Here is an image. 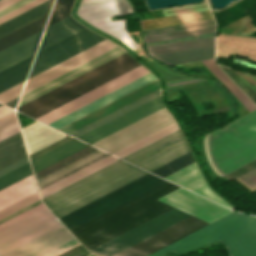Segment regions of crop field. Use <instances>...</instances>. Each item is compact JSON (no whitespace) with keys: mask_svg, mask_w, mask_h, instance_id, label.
<instances>
[{"mask_svg":"<svg viewBox=\"0 0 256 256\" xmlns=\"http://www.w3.org/2000/svg\"><path fill=\"white\" fill-rule=\"evenodd\" d=\"M166 182L143 195L71 230L89 251L172 209L156 199L177 189Z\"/></svg>","mask_w":256,"mask_h":256,"instance_id":"1","label":"crop field"},{"mask_svg":"<svg viewBox=\"0 0 256 256\" xmlns=\"http://www.w3.org/2000/svg\"><path fill=\"white\" fill-rule=\"evenodd\" d=\"M222 242L229 256H256V217L233 212L150 256H165L167 252L182 253L215 242ZM211 244L176 255L187 256L221 244Z\"/></svg>","mask_w":256,"mask_h":256,"instance_id":"2","label":"crop field"},{"mask_svg":"<svg viewBox=\"0 0 256 256\" xmlns=\"http://www.w3.org/2000/svg\"><path fill=\"white\" fill-rule=\"evenodd\" d=\"M72 239L45 207L0 230V256H40Z\"/></svg>","mask_w":256,"mask_h":256,"instance_id":"3","label":"crop field"},{"mask_svg":"<svg viewBox=\"0 0 256 256\" xmlns=\"http://www.w3.org/2000/svg\"><path fill=\"white\" fill-rule=\"evenodd\" d=\"M146 173L119 160L47 196L42 201L59 218Z\"/></svg>","mask_w":256,"mask_h":256,"instance_id":"4","label":"crop field"},{"mask_svg":"<svg viewBox=\"0 0 256 256\" xmlns=\"http://www.w3.org/2000/svg\"><path fill=\"white\" fill-rule=\"evenodd\" d=\"M212 161L223 175L256 158V111L210 134Z\"/></svg>","mask_w":256,"mask_h":256,"instance_id":"5","label":"crop field"},{"mask_svg":"<svg viewBox=\"0 0 256 256\" xmlns=\"http://www.w3.org/2000/svg\"><path fill=\"white\" fill-rule=\"evenodd\" d=\"M138 65L125 53L18 107V111L35 118Z\"/></svg>","mask_w":256,"mask_h":256,"instance_id":"6","label":"crop field"},{"mask_svg":"<svg viewBox=\"0 0 256 256\" xmlns=\"http://www.w3.org/2000/svg\"><path fill=\"white\" fill-rule=\"evenodd\" d=\"M164 182L148 173L59 219L70 230Z\"/></svg>","mask_w":256,"mask_h":256,"instance_id":"7","label":"crop field"},{"mask_svg":"<svg viewBox=\"0 0 256 256\" xmlns=\"http://www.w3.org/2000/svg\"><path fill=\"white\" fill-rule=\"evenodd\" d=\"M129 13L130 5L126 0H99L82 3L78 15L88 23L117 37L134 50L140 46L127 34L124 20L111 22L109 18Z\"/></svg>","mask_w":256,"mask_h":256,"instance_id":"8","label":"crop field"},{"mask_svg":"<svg viewBox=\"0 0 256 256\" xmlns=\"http://www.w3.org/2000/svg\"><path fill=\"white\" fill-rule=\"evenodd\" d=\"M106 38L84 29L38 52L29 78Z\"/></svg>","mask_w":256,"mask_h":256,"instance_id":"9","label":"crop field"},{"mask_svg":"<svg viewBox=\"0 0 256 256\" xmlns=\"http://www.w3.org/2000/svg\"><path fill=\"white\" fill-rule=\"evenodd\" d=\"M191 215L176 208L91 250L93 254L111 256Z\"/></svg>","mask_w":256,"mask_h":256,"instance_id":"10","label":"crop field"},{"mask_svg":"<svg viewBox=\"0 0 256 256\" xmlns=\"http://www.w3.org/2000/svg\"><path fill=\"white\" fill-rule=\"evenodd\" d=\"M189 151L179 130L123 159L151 171Z\"/></svg>","mask_w":256,"mask_h":256,"instance_id":"11","label":"crop field"},{"mask_svg":"<svg viewBox=\"0 0 256 256\" xmlns=\"http://www.w3.org/2000/svg\"><path fill=\"white\" fill-rule=\"evenodd\" d=\"M172 122L173 119L163 108L92 145L112 153Z\"/></svg>","mask_w":256,"mask_h":256,"instance_id":"12","label":"crop field"},{"mask_svg":"<svg viewBox=\"0 0 256 256\" xmlns=\"http://www.w3.org/2000/svg\"><path fill=\"white\" fill-rule=\"evenodd\" d=\"M150 73L142 65L37 117L36 119L48 124L146 74Z\"/></svg>","mask_w":256,"mask_h":256,"instance_id":"13","label":"crop field"},{"mask_svg":"<svg viewBox=\"0 0 256 256\" xmlns=\"http://www.w3.org/2000/svg\"><path fill=\"white\" fill-rule=\"evenodd\" d=\"M53 0H49L0 25V37L49 13ZM48 14L1 37L0 51L43 29Z\"/></svg>","mask_w":256,"mask_h":256,"instance_id":"14","label":"crop field"},{"mask_svg":"<svg viewBox=\"0 0 256 256\" xmlns=\"http://www.w3.org/2000/svg\"><path fill=\"white\" fill-rule=\"evenodd\" d=\"M208 223L193 216L190 218L114 255V256H148L153 252L192 233Z\"/></svg>","mask_w":256,"mask_h":256,"instance_id":"15","label":"crop field"},{"mask_svg":"<svg viewBox=\"0 0 256 256\" xmlns=\"http://www.w3.org/2000/svg\"><path fill=\"white\" fill-rule=\"evenodd\" d=\"M107 155L108 154L104 152L88 146L35 173L39 189H42Z\"/></svg>","mask_w":256,"mask_h":256,"instance_id":"16","label":"crop field"},{"mask_svg":"<svg viewBox=\"0 0 256 256\" xmlns=\"http://www.w3.org/2000/svg\"><path fill=\"white\" fill-rule=\"evenodd\" d=\"M158 200L183 210L208 223L232 212L181 188L159 198Z\"/></svg>","mask_w":256,"mask_h":256,"instance_id":"17","label":"crop field"},{"mask_svg":"<svg viewBox=\"0 0 256 256\" xmlns=\"http://www.w3.org/2000/svg\"><path fill=\"white\" fill-rule=\"evenodd\" d=\"M107 40L28 79L24 93L117 47L113 43L109 42L110 40Z\"/></svg>","mask_w":256,"mask_h":256,"instance_id":"18","label":"crop field"},{"mask_svg":"<svg viewBox=\"0 0 256 256\" xmlns=\"http://www.w3.org/2000/svg\"><path fill=\"white\" fill-rule=\"evenodd\" d=\"M159 89L157 79L124 95L123 97L91 112L90 114L60 128L59 130L64 131L68 134L114 112L115 110Z\"/></svg>","mask_w":256,"mask_h":256,"instance_id":"19","label":"crop field"},{"mask_svg":"<svg viewBox=\"0 0 256 256\" xmlns=\"http://www.w3.org/2000/svg\"><path fill=\"white\" fill-rule=\"evenodd\" d=\"M161 108H163L161 98L158 97L78 138L91 144Z\"/></svg>","mask_w":256,"mask_h":256,"instance_id":"20","label":"crop field"},{"mask_svg":"<svg viewBox=\"0 0 256 256\" xmlns=\"http://www.w3.org/2000/svg\"><path fill=\"white\" fill-rule=\"evenodd\" d=\"M164 178L175 182L193 192L199 193L217 203L234 209L207 187L195 162Z\"/></svg>","mask_w":256,"mask_h":256,"instance_id":"21","label":"crop field"},{"mask_svg":"<svg viewBox=\"0 0 256 256\" xmlns=\"http://www.w3.org/2000/svg\"><path fill=\"white\" fill-rule=\"evenodd\" d=\"M154 79H156V77L153 76L150 73V74H148V75H146V76H144V77H142V78H140V79H138V80H136V81H134V82H132V83H130V84H128V85H126V86H124V87H122V88H120V89H118V90H116V91H114V92L96 100V101H94V102H92V103H90V104H88V105H86V106H84V107H82V108H80V109H78V110H76V111H74V112H72V113L54 121V122H52V123H50L49 125L58 129L59 127H61L65 124H67V123H69V122H71V121H73V120H75V119H77V118H79V117H81V116H83V115H85V114H87V113H89V112L107 104L108 102H110V101H112V100H114V99H116V98H118V97H120V96H122V95H124V94H126V93H128V92H130V91H132V90H134V89L152 81V80H154Z\"/></svg>","mask_w":256,"mask_h":256,"instance_id":"22","label":"crop field"},{"mask_svg":"<svg viewBox=\"0 0 256 256\" xmlns=\"http://www.w3.org/2000/svg\"><path fill=\"white\" fill-rule=\"evenodd\" d=\"M42 31L1 51L0 71L36 52Z\"/></svg>","mask_w":256,"mask_h":256,"instance_id":"23","label":"crop field"},{"mask_svg":"<svg viewBox=\"0 0 256 256\" xmlns=\"http://www.w3.org/2000/svg\"><path fill=\"white\" fill-rule=\"evenodd\" d=\"M120 49L121 48L118 47V48H116V49H114V50H112V51H110V52H108V53H106V54H104V55H102V56H100V57H98V58H96V59L78 67V68H76V69H74V70H72L71 72H69V73H67V74H65V75H63V76H61V77H59V78H57V79H55V80H53L49 83L37 88V89L25 94V95H23L21 97V99L30 95V94H32V93H34V92H36V91H38V90H40V89H42V88H44V87H46V86H48V85H50V84H52V83H54V82H56V81H58V80H60V79H62V78H64V77H66V76H68V75H70V74H72V73H74V72H76V71H78V70H80V69H82V68H84V67H86V66H88V65H90V64H92V63H94V62H96V61H98V60H100V59H102V58H104V57H106V56H108V55H110V54H112V53H114V52H116V51H118V50H120ZM123 53H125V51L121 50V51H119V52H117V53H115V54H113V55H111V56H109V57H107V58H105V59H103V60H101V61H99V62H97V63L79 71V72H77V73H75V74H73L72 76H70V77H68V78H66V79H64V80H62V81H60V82H58V83H56L52 86L40 91V92L22 100V101L20 100L19 106L28 102V101H30V100H32V99H34V98H36V97H38V96H40V95H42V94H44V93H46V92H48V91H50V90H52V89H54V88H56V87H58V86H60V85H62V84H64V83H66V82H68V81H70L71 79H73V78H75V77H77V76H79V75H81L85 72H87V71H89V70H91V69H93V68H95V67H97V66H99V65H101V64H103V63H105V62H107V61H109V60H111V59H113L117 56H119V55H121V54H123Z\"/></svg>","mask_w":256,"mask_h":256,"instance_id":"24","label":"crop field"},{"mask_svg":"<svg viewBox=\"0 0 256 256\" xmlns=\"http://www.w3.org/2000/svg\"><path fill=\"white\" fill-rule=\"evenodd\" d=\"M213 19L209 10L192 12L186 14L172 15L167 17H160L148 20L139 21L141 25V29H151L158 28L164 26H171L183 23H190L196 21H203Z\"/></svg>","mask_w":256,"mask_h":256,"instance_id":"25","label":"crop field"},{"mask_svg":"<svg viewBox=\"0 0 256 256\" xmlns=\"http://www.w3.org/2000/svg\"><path fill=\"white\" fill-rule=\"evenodd\" d=\"M84 28L86 27L75 21L71 16L48 27L44 34L39 51Z\"/></svg>","mask_w":256,"mask_h":256,"instance_id":"26","label":"crop field"},{"mask_svg":"<svg viewBox=\"0 0 256 256\" xmlns=\"http://www.w3.org/2000/svg\"><path fill=\"white\" fill-rule=\"evenodd\" d=\"M117 160L118 159L109 155V156H107V157H105V158H103V159H101V160H99V161H97V162H95V163H93V164L75 172L74 174H72V175H70V176H68V177H66V178H64V179H62V180L44 188L42 190H40L41 197L43 198V197H45V196H47V195H49V194H51V193H53V192H55L59 189H61L65 186H67V185H69V184H71V183H73V182H75V181H77V180H79V179H81V178H83V177H85V176H87V175H89V174H91V173H93V172H95V171H97V170H99V169L117 161Z\"/></svg>","mask_w":256,"mask_h":256,"instance_id":"27","label":"crop field"},{"mask_svg":"<svg viewBox=\"0 0 256 256\" xmlns=\"http://www.w3.org/2000/svg\"><path fill=\"white\" fill-rule=\"evenodd\" d=\"M35 192L37 190L33 176L0 191V210Z\"/></svg>","mask_w":256,"mask_h":256,"instance_id":"28","label":"crop field"},{"mask_svg":"<svg viewBox=\"0 0 256 256\" xmlns=\"http://www.w3.org/2000/svg\"><path fill=\"white\" fill-rule=\"evenodd\" d=\"M153 57L168 65L211 59L214 58V46L154 55Z\"/></svg>","mask_w":256,"mask_h":256,"instance_id":"29","label":"crop field"},{"mask_svg":"<svg viewBox=\"0 0 256 256\" xmlns=\"http://www.w3.org/2000/svg\"><path fill=\"white\" fill-rule=\"evenodd\" d=\"M87 145L77 141V140H72L56 149L53 151L31 161L33 172H36L84 147Z\"/></svg>","mask_w":256,"mask_h":256,"instance_id":"30","label":"crop field"},{"mask_svg":"<svg viewBox=\"0 0 256 256\" xmlns=\"http://www.w3.org/2000/svg\"><path fill=\"white\" fill-rule=\"evenodd\" d=\"M27 156L21 134L0 142V169Z\"/></svg>","mask_w":256,"mask_h":256,"instance_id":"31","label":"crop field"},{"mask_svg":"<svg viewBox=\"0 0 256 256\" xmlns=\"http://www.w3.org/2000/svg\"><path fill=\"white\" fill-rule=\"evenodd\" d=\"M33 55L0 72V92L25 80Z\"/></svg>","mask_w":256,"mask_h":256,"instance_id":"32","label":"crop field"},{"mask_svg":"<svg viewBox=\"0 0 256 256\" xmlns=\"http://www.w3.org/2000/svg\"><path fill=\"white\" fill-rule=\"evenodd\" d=\"M214 45V36L147 47L150 55Z\"/></svg>","mask_w":256,"mask_h":256,"instance_id":"33","label":"crop field"},{"mask_svg":"<svg viewBox=\"0 0 256 256\" xmlns=\"http://www.w3.org/2000/svg\"><path fill=\"white\" fill-rule=\"evenodd\" d=\"M203 62L209 71H211L217 79L228 88L238 100L246 107V109L251 112L256 109V106L238 89V87L219 69L216 65L215 60H205Z\"/></svg>","mask_w":256,"mask_h":256,"instance_id":"34","label":"crop field"},{"mask_svg":"<svg viewBox=\"0 0 256 256\" xmlns=\"http://www.w3.org/2000/svg\"><path fill=\"white\" fill-rule=\"evenodd\" d=\"M176 130H178V127L174 122V123L162 128V129H160V130H158V131H156V132H154V133H152V134H150V135H148V136H146V137H144V138H142V139L112 153V154L122 158V157H124V156H126V155H128V154H130V153H132V152H134V151H136V150H138V149H140V148H142V147H144V146H146V145H148V144H150V143H152V142H154V141H156V140H158Z\"/></svg>","mask_w":256,"mask_h":256,"instance_id":"35","label":"crop field"},{"mask_svg":"<svg viewBox=\"0 0 256 256\" xmlns=\"http://www.w3.org/2000/svg\"><path fill=\"white\" fill-rule=\"evenodd\" d=\"M159 95H160V92H159V90H157V91H155V92H153V93H151V94H149V95H147V96H145V97H143V98H141V99H139V100H137V101H135V102L119 109V110H117V111H115L114 113H112V114H110V115H108V116H106V117H104V118H102V119H100V120L82 128V129L72 133L71 135L77 137V136H79V135H81V134H83V133H85V132H87V131H89V130H91V129H93V128H95V127H97V126H99V125H101V124H103V123H105V122H107V121H109V120H111V119H113V118H115V117H117V116H119V115H121V114H123V113H125V112H127V111H129V110H131V109H133V108H135V107L153 99V98H155V97H157V96H159Z\"/></svg>","mask_w":256,"mask_h":256,"instance_id":"36","label":"crop field"},{"mask_svg":"<svg viewBox=\"0 0 256 256\" xmlns=\"http://www.w3.org/2000/svg\"><path fill=\"white\" fill-rule=\"evenodd\" d=\"M221 67V66H220ZM234 82L256 103V76L221 67Z\"/></svg>","mask_w":256,"mask_h":256,"instance_id":"37","label":"crop field"},{"mask_svg":"<svg viewBox=\"0 0 256 256\" xmlns=\"http://www.w3.org/2000/svg\"><path fill=\"white\" fill-rule=\"evenodd\" d=\"M20 132L15 113L0 107V141Z\"/></svg>","mask_w":256,"mask_h":256,"instance_id":"38","label":"crop field"},{"mask_svg":"<svg viewBox=\"0 0 256 256\" xmlns=\"http://www.w3.org/2000/svg\"><path fill=\"white\" fill-rule=\"evenodd\" d=\"M212 32H215V25L209 26V27L197 28V29H190V30H184V31H178V32L146 36L145 41L149 42V41L165 40V39L179 38V37L199 35V34L212 33Z\"/></svg>","mask_w":256,"mask_h":256,"instance_id":"39","label":"crop field"},{"mask_svg":"<svg viewBox=\"0 0 256 256\" xmlns=\"http://www.w3.org/2000/svg\"><path fill=\"white\" fill-rule=\"evenodd\" d=\"M74 0H56L48 26L69 16Z\"/></svg>","mask_w":256,"mask_h":256,"instance_id":"40","label":"crop field"},{"mask_svg":"<svg viewBox=\"0 0 256 256\" xmlns=\"http://www.w3.org/2000/svg\"><path fill=\"white\" fill-rule=\"evenodd\" d=\"M193 161L194 160L192 158L191 153H188V154H186V155H184V156H182V157H180V158H178V159H176V160H174V161H172V162H170L152 172L163 177V176H165V175H167V174H169V173H171V172H173V171H175Z\"/></svg>","mask_w":256,"mask_h":256,"instance_id":"41","label":"crop field"},{"mask_svg":"<svg viewBox=\"0 0 256 256\" xmlns=\"http://www.w3.org/2000/svg\"><path fill=\"white\" fill-rule=\"evenodd\" d=\"M30 164H27L0 178V190L31 175Z\"/></svg>","mask_w":256,"mask_h":256,"instance_id":"42","label":"crop field"},{"mask_svg":"<svg viewBox=\"0 0 256 256\" xmlns=\"http://www.w3.org/2000/svg\"><path fill=\"white\" fill-rule=\"evenodd\" d=\"M38 200H40L39 195H38V193H35V194H33V195H31V196L13 204V205L3 209L2 211H0V219L18 211V210H20L24 207H26V206H28V205H30V204L38 201Z\"/></svg>","mask_w":256,"mask_h":256,"instance_id":"43","label":"crop field"},{"mask_svg":"<svg viewBox=\"0 0 256 256\" xmlns=\"http://www.w3.org/2000/svg\"><path fill=\"white\" fill-rule=\"evenodd\" d=\"M215 24L214 20L142 31L143 35Z\"/></svg>","mask_w":256,"mask_h":256,"instance_id":"44","label":"crop field"},{"mask_svg":"<svg viewBox=\"0 0 256 256\" xmlns=\"http://www.w3.org/2000/svg\"><path fill=\"white\" fill-rule=\"evenodd\" d=\"M45 1H47V0H34V1L24 5L22 7H20L16 10L0 17V24L9 20V19H11V18H13V17H15V16H17V15H19V14H21V13H23V12H25V11H27V10H29V9H31V8H33V7H35V6H37V5H39V4H41V3H43V2H45Z\"/></svg>","mask_w":256,"mask_h":256,"instance_id":"45","label":"crop field"},{"mask_svg":"<svg viewBox=\"0 0 256 256\" xmlns=\"http://www.w3.org/2000/svg\"><path fill=\"white\" fill-rule=\"evenodd\" d=\"M72 139L73 138H71L69 136H66V137H64V138H62V139H60V140H58V141H56V142H54V143H52L50 145H48V146L38 150V151L30 154V156H29L30 160H33V159H35V158H37V157H39V156H41V155L51 151L52 149H54V148H56V147H58V146H60V145H62L64 143L72 140Z\"/></svg>","mask_w":256,"mask_h":256,"instance_id":"46","label":"crop field"},{"mask_svg":"<svg viewBox=\"0 0 256 256\" xmlns=\"http://www.w3.org/2000/svg\"><path fill=\"white\" fill-rule=\"evenodd\" d=\"M23 82L0 93V102L6 103L20 95Z\"/></svg>","mask_w":256,"mask_h":256,"instance_id":"47","label":"crop field"},{"mask_svg":"<svg viewBox=\"0 0 256 256\" xmlns=\"http://www.w3.org/2000/svg\"><path fill=\"white\" fill-rule=\"evenodd\" d=\"M255 167H256V159L251 161V162H249L248 164H246V165L236 169L235 171L225 175L224 177L227 180L231 181V180L237 178L238 176H240V175H242V174H244V173L254 169Z\"/></svg>","mask_w":256,"mask_h":256,"instance_id":"48","label":"crop field"},{"mask_svg":"<svg viewBox=\"0 0 256 256\" xmlns=\"http://www.w3.org/2000/svg\"><path fill=\"white\" fill-rule=\"evenodd\" d=\"M43 207H45V206H44V204L42 203V204H40V205H38V206H36V207H34V208H32V209L26 211V212H24V213H22V214H20V215H18V216H16V217H14L13 219H11V220H9V221H7V222L1 224V225H0V229L6 227V226H8V225H10L11 223H13V222H15V221H17V220H19V219H21V218H23V217H25V216L31 214V213H33V212H35V211H37V210L43 208Z\"/></svg>","mask_w":256,"mask_h":256,"instance_id":"49","label":"crop field"},{"mask_svg":"<svg viewBox=\"0 0 256 256\" xmlns=\"http://www.w3.org/2000/svg\"><path fill=\"white\" fill-rule=\"evenodd\" d=\"M78 244H80V243L75 239V240H73V241H71V242H69V243H67V244H65V245H63V246L45 254V255H43V256H56V255L66 251V250H68V249H70V248H72V247H74Z\"/></svg>","mask_w":256,"mask_h":256,"instance_id":"50","label":"crop field"},{"mask_svg":"<svg viewBox=\"0 0 256 256\" xmlns=\"http://www.w3.org/2000/svg\"><path fill=\"white\" fill-rule=\"evenodd\" d=\"M242 181L248 184L250 187H256V169L244 174L243 176L239 177ZM251 188V189H252Z\"/></svg>","mask_w":256,"mask_h":256,"instance_id":"51","label":"crop field"},{"mask_svg":"<svg viewBox=\"0 0 256 256\" xmlns=\"http://www.w3.org/2000/svg\"><path fill=\"white\" fill-rule=\"evenodd\" d=\"M28 162H29V161H28V157H25V158H23V159H21V160L15 162V163H13V164H11V165H9V166H7V167L1 169V170H0V176H2V175H4V174H6V173H8V172H10V171H12V170L18 168V167H20V166H22V165H24V164H26V163H28Z\"/></svg>","mask_w":256,"mask_h":256,"instance_id":"52","label":"crop field"},{"mask_svg":"<svg viewBox=\"0 0 256 256\" xmlns=\"http://www.w3.org/2000/svg\"><path fill=\"white\" fill-rule=\"evenodd\" d=\"M214 34H215V33H212V34H205V35H199V36H192V37H185V38H179V39H172V40H165V41L149 42V43H146V45H147V46H150V45H156V44H162V43H168V42H174V41H180V40H187V39H193V38L211 36V35H214Z\"/></svg>","mask_w":256,"mask_h":256,"instance_id":"53","label":"crop field"},{"mask_svg":"<svg viewBox=\"0 0 256 256\" xmlns=\"http://www.w3.org/2000/svg\"><path fill=\"white\" fill-rule=\"evenodd\" d=\"M30 1H32V0H21V1L17 2V3L5 8V9L1 10L0 11V16L4 15V14H6V13H8V12H10V11H12V10L28 3V2H30Z\"/></svg>","mask_w":256,"mask_h":256,"instance_id":"54","label":"crop field"},{"mask_svg":"<svg viewBox=\"0 0 256 256\" xmlns=\"http://www.w3.org/2000/svg\"><path fill=\"white\" fill-rule=\"evenodd\" d=\"M40 203H42V202H41V201H38V202H36V203H34V204H32V205H30V206L24 208V209H22V210H20V211H18V212H16V213H14V214H12V215H10V216H8V217H6V218L0 220V224L3 223V222H5V221H7V220H9V219H11L12 217H14V216H16V215H18V214H20V213H22V212H24V211L30 209V208H32V207H34V206L40 204Z\"/></svg>","mask_w":256,"mask_h":256,"instance_id":"55","label":"crop field"},{"mask_svg":"<svg viewBox=\"0 0 256 256\" xmlns=\"http://www.w3.org/2000/svg\"><path fill=\"white\" fill-rule=\"evenodd\" d=\"M192 79L201 80V79H198V78H189V79H183V80L170 81V82H167V84L176 83V82H181V81H186V80H192ZM201 81L206 82L205 80H201ZM192 82H199V81L192 80V81H186V82H181V83H176V84H170V85H168V86H171V85H178V84H185V83H192Z\"/></svg>","mask_w":256,"mask_h":256,"instance_id":"56","label":"crop field"},{"mask_svg":"<svg viewBox=\"0 0 256 256\" xmlns=\"http://www.w3.org/2000/svg\"><path fill=\"white\" fill-rule=\"evenodd\" d=\"M16 1H18V0H0V9H2Z\"/></svg>","mask_w":256,"mask_h":256,"instance_id":"57","label":"crop field"},{"mask_svg":"<svg viewBox=\"0 0 256 256\" xmlns=\"http://www.w3.org/2000/svg\"><path fill=\"white\" fill-rule=\"evenodd\" d=\"M17 101H18V98L13 100V101H11V102H9V103H7L6 105H8V106H10V107L15 109Z\"/></svg>","mask_w":256,"mask_h":256,"instance_id":"58","label":"crop field"},{"mask_svg":"<svg viewBox=\"0 0 256 256\" xmlns=\"http://www.w3.org/2000/svg\"><path fill=\"white\" fill-rule=\"evenodd\" d=\"M254 31H256V27H254V28H252V29H250V30H248V31H246V32H244V33H242V34H240V35H242V36H247V35L253 33Z\"/></svg>","mask_w":256,"mask_h":256,"instance_id":"59","label":"crop field"},{"mask_svg":"<svg viewBox=\"0 0 256 256\" xmlns=\"http://www.w3.org/2000/svg\"><path fill=\"white\" fill-rule=\"evenodd\" d=\"M85 1H92V0H83L82 2H85Z\"/></svg>","mask_w":256,"mask_h":256,"instance_id":"60","label":"crop field"},{"mask_svg":"<svg viewBox=\"0 0 256 256\" xmlns=\"http://www.w3.org/2000/svg\"><path fill=\"white\" fill-rule=\"evenodd\" d=\"M1 106V105H0Z\"/></svg>","mask_w":256,"mask_h":256,"instance_id":"61","label":"crop field"}]
</instances>
